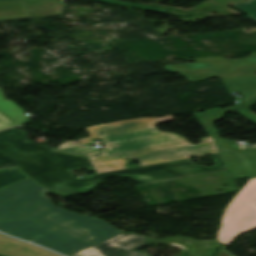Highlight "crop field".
<instances>
[{
	"label": "crop field",
	"instance_id": "crop-field-20",
	"mask_svg": "<svg viewBox=\"0 0 256 256\" xmlns=\"http://www.w3.org/2000/svg\"><path fill=\"white\" fill-rule=\"evenodd\" d=\"M179 240L187 241V242H194V243H210V244H213L212 242H209V241H198V240L185 238V237H180Z\"/></svg>",
	"mask_w": 256,
	"mask_h": 256
},
{
	"label": "crop field",
	"instance_id": "crop-field-2",
	"mask_svg": "<svg viewBox=\"0 0 256 256\" xmlns=\"http://www.w3.org/2000/svg\"><path fill=\"white\" fill-rule=\"evenodd\" d=\"M30 178L0 190V231L66 256L122 231L52 204Z\"/></svg>",
	"mask_w": 256,
	"mask_h": 256
},
{
	"label": "crop field",
	"instance_id": "crop-field-1",
	"mask_svg": "<svg viewBox=\"0 0 256 256\" xmlns=\"http://www.w3.org/2000/svg\"><path fill=\"white\" fill-rule=\"evenodd\" d=\"M26 139V133L15 128L0 132V168L20 166V170L58 196L91 191L104 178L119 176L147 183L204 172L226 169L220 154L212 155L217 166L200 167L185 160L100 173L78 179L72 170L93 167L86 157L52 151L46 145Z\"/></svg>",
	"mask_w": 256,
	"mask_h": 256
},
{
	"label": "crop field",
	"instance_id": "crop-field-15",
	"mask_svg": "<svg viewBox=\"0 0 256 256\" xmlns=\"http://www.w3.org/2000/svg\"><path fill=\"white\" fill-rule=\"evenodd\" d=\"M25 178L27 177L19 172L17 168L0 170V189H3Z\"/></svg>",
	"mask_w": 256,
	"mask_h": 256
},
{
	"label": "crop field",
	"instance_id": "crop-field-14",
	"mask_svg": "<svg viewBox=\"0 0 256 256\" xmlns=\"http://www.w3.org/2000/svg\"><path fill=\"white\" fill-rule=\"evenodd\" d=\"M176 244L188 250L187 256H214L218 247L210 244H193L177 240Z\"/></svg>",
	"mask_w": 256,
	"mask_h": 256
},
{
	"label": "crop field",
	"instance_id": "crop-field-3",
	"mask_svg": "<svg viewBox=\"0 0 256 256\" xmlns=\"http://www.w3.org/2000/svg\"><path fill=\"white\" fill-rule=\"evenodd\" d=\"M172 119L173 115L88 127L91 137L80 139V144L102 139L108 150L95 153L93 148L66 142L54 151L89 157L97 173L125 168L126 157L143 166L219 152L212 137L201 138L202 143L193 145L180 135L155 128L157 123Z\"/></svg>",
	"mask_w": 256,
	"mask_h": 256
},
{
	"label": "crop field",
	"instance_id": "crop-field-22",
	"mask_svg": "<svg viewBox=\"0 0 256 256\" xmlns=\"http://www.w3.org/2000/svg\"><path fill=\"white\" fill-rule=\"evenodd\" d=\"M0 100H5L1 89H0Z\"/></svg>",
	"mask_w": 256,
	"mask_h": 256
},
{
	"label": "crop field",
	"instance_id": "crop-field-12",
	"mask_svg": "<svg viewBox=\"0 0 256 256\" xmlns=\"http://www.w3.org/2000/svg\"><path fill=\"white\" fill-rule=\"evenodd\" d=\"M228 109L221 110L219 108L206 110L205 113H197L194 112V116L209 134V136L218 135L217 129L214 127L213 123L216 122L218 119L224 116Z\"/></svg>",
	"mask_w": 256,
	"mask_h": 256
},
{
	"label": "crop field",
	"instance_id": "crop-field-5",
	"mask_svg": "<svg viewBox=\"0 0 256 256\" xmlns=\"http://www.w3.org/2000/svg\"><path fill=\"white\" fill-rule=\"evenodd\" d=\"M177 238L179 237L152 239L137 234L121 233L70 256H147L136 250L150 243H175Z\"/></svg>",
	"mask_w": 256,
	"mask_h": 256
},
{
	"label": "crop field",
	"instance_id": "crop-field-4",
	"mask_svg": "<svg viewBox=\"0 0 256 256\" xmlns=\"http://www.w3.org/2000/svg\"><path fill=\"white\" fill-rule=\"evenodd\" d=\"M256 229V178L251 179L226 207L217 240L229 244L246 231Z\"/></svg>",
	"mask_w": 256,
	"mask_h": 256
},
{
	"label": "crop field",
	"instance_id": "crop-field-18",
	"mask_svg": "<svg viewBox=\"0 0 256 256\" xmlns=\"http://www.w3.org/2000/svg\"><path fill=\"white\" fill-rule=\"evenodd\" d=\"M254 104H256V97L234 108L256 123V115L247 109Z\"/></svg>",
	"mask_w": 256,
	"mask_h": 256
},
{
	"label": "crop field",
	"instance_id": "crop-field-23",
	"mask_svg": "<svg viewBox=\"0 0 256 256\" xmlns=\"http://www.w3.org/2000/svg\"><path fill=\"white\" fill-rule=\"evenodd\" d=\"M251 3L256 2V0H250Z\"/></svg>",
	"mask_w": 256,
	"mask_h": 256
},
{
	"label": "crop field",
	"instance_id": "crop-field-6",
	"mask_svg": "<svg viewBox=\"0 0 256 256\" xmlns=\"http://www.w3.org/2000/svg\"><path fill=\"white\" fill-rule=\"evenodd\" d=\"M213 138L234 180L256 177V148L239 150L219 135Z\"/></svg>",
	"mask_w": 256,
	"mask_h": 256
},
{
	"label": "crop field",
	"instance_id": "crop-field-10",
	"mask_svg": "<svg viewBox=\"0 0 256 256\" xmlns=\"http://www.w3.org/2000/svg\"><path fill=\"white\" fill-rule=\"evenodd\" d=\"M0 254L8 256H58L44 249L29 245L0 234Z\"/></svg>",
	"mask_w": 256,
	"mask_h": 256
},
{
	"label": "crop field",
	"instance_id": "crop-field-21",
	"mask_svg": "<svg viewBox=\"0 0 256 256\" xmlns=\"http://www.w3.org/2000/svg\"><path fill=\"white\" fill-rule=\"evenodd\" d=\"M216 256H230V255L227 254L225 251H223L222 249L219 248Z\"/></svg>",
	"mask_w": 256,
	"mask_h": 256
},
{
	"label": "crop field",
	"instance_id": "crop-field-9",
	"mask_svg": "<svg viewBox=\"0 0 256 256\" xmlns=\"http://www.w3.org/2000/svg\"><path fill=\"white\" fill-rule=\"evenodd\" d=\"M180 74L181 76L187 78L190 82L205 80L209 78L228 79L239 77H251L256 76V65L222 69L186 71L180 72Z\"/></svg>",
	"mask_w": 256,
	"mask_h": 256
},
{
	"label": "crop field",
	"instance_id": "crop-field-8",
	"mask_svg": "<svg viewBox=\"0 0 256 256\" xmlns=\"http://www.w3.org/2000/svg\"><path fill=\"white\" fill-rule=\"evenodd\" d=\"M195 60L197 63L169 65V66H165V68L170 72H174V71H185V70H198V69L255 65L256 64V53L251 54L250 58L236 59V60L224 59V58H221L220 56L208 57V58H198Z\"/></svg>",
	"mask_w": 256,
	"mask_h": 256
},
{
	"label": "crop field",
	"instance_id": "crop-field-11",
	"mask_svg": "<svg viewBox=\"0 0 256 256\" xmlns=\"http://www.w3.org/2000/svg\"><path fill=\"white\" fill-rule=\"evenodd\" d=\"M229 93L239 92L243 100L256 94V77L222 80Z\"/></svg>",
	"mask_w": 256,
	"mask_h": 256
},
{
	"label": "crop field",
	"instance_id": "crop-field-19",
	"mask_svg": "<svg viewBox=\"0 0 256 256\" xmlns=\"http://www.w3.org/2000/svg\"><path fill=\"white\" fill-rule=\"evenodd\" d=\"M10 126H14V124L0 112V129H4Z\"/></svg>",
	"mask_w": 256,
	"mask_h": 256
},
{
	"label": "crop field",
	"instance_id": "crop-field-7",
	"mask_svg": "<svg viewBox=\"0 0 256 256\" xmlns=\"http://www.w3.org/2000/svg\"><path fill=\"white\" fill-rule=\"evenodd\" d=\"M64 6L42 0L0 2V20L62 15Z\"/></svg>",
	"mask_w": 256,
	"mask_h": 256
},
{
	"label": "crop field",
	"instance_id": "crop-field-17",
	"mask_svg": "<svg viewBox=\"0 0 256 256\" xmlns=\"http://www.w3.org/2000/svg\"><path fill=\"white\" fill-rule=\"evenodd\" d=\"M232 7L246 13L249 18L256 21V3L250 4L249 0H247V2L232 5Z\"/></svg>",
	"mask_w": 256,
	"mask_h": 256
},
{
	"label": "crop field",
	"instance_id": "crop-field-16",
	"mask_svg": "<svg viewBox=\"0 0 256 256\" xmlns=\"http://www.w3.org/2000/svg\"><path fill=\"white\" fill-rule=\"evenodd\" d=\"M0 1H12V0H0ZM48 1H54V2H58V3H62V4H64V2H65V0H48ZM96 1H101V2H106V3H111V4H117V5L132 7V8H138V9H143V10H148V11H154V12H159V13H166V11H167L165 9L147 7V6L131 4V3L115 1V0H96Z\"/></svg>",
	"mask_w": 256,
	"mask_h": 256
},
{
	"label": "crop field",
	"instance_id": "crop-field-13",
	"mask_svg": "<svg viewBox=\"0 0 256 256\" xmlns=\"http://www.w3.org/2000/svg\"><path fill=\"white\" fill-rule=\"evenodd\" d=\"M0 111L15 125L26 123V116L24 115V111L10 100L0 101Z\"/></svg>",
	"mask_w": 256,
	"mask_h": 256
}]
</instances>
